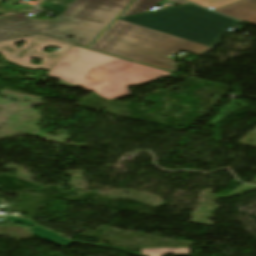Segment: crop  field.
<instances>
[{
  "label": "crop field",
  "instance_id": "obj_7",
  "mask_svg": "<svg viewBox=\"0 0 256 256\" xmlns=\"http://www.w3.org/2000/svg\"><path fill=\"white\" fill-rule=\"evenodd\" d=\"M159 1L160 0H136L121 14L120 17L144 13L154 7Z\"/></svg>",
  "mask_w": 256,
  "mask_h": 256
},
{
  "label": "crop field",
  "instance_id": "obj_4",
  "mask_svg": "<svg viewBox=\"0 0 256 256\" xmlns=\"http://www.w3.org/2000/svg\"><path fill=\"white\" fill-rule=\"evenodd\" d=\"M120 19L212 47L228 28L239 24L192 4Z\"/></svg>",
  "mask_w": 256,
  "mask_h": 256
},
{
  "label": "crop field",
  "instance_id": "obj_13",
  "mask_svg": "<svg viewBox=\"0 0 256 256\" xmlns=\"http://www.w3.org/2000/svg\"><path fill=\"white\" fill-rule=\"evenodd\" d=\"M4 1V0H0V3ZM6 1H10V2H14V3H17L19 0H6Z\"/></svg>",
  "mask_w": 256,
  "mask_h": 256
},
{
  "label": "crop field",
  "instance_id": "obj_12",
  "mask_svg": "<svg viewBox=\"0 0 256 256\" xmlns=\"http://www.w3.org/2000/svg\"><path fill=\"white\" fill-rule=\"evenodd\" d=\"M6 219L11 220V221H16V222H21V223H26V224L32 225V223L30 221L18 219V218H15V217H7Z\"/></svg>",
  "mask_w": 256,
  "mask_h": 256
},
{
  "label": "crop field",
  "instance_id": "obj_5",
  "mask_svg": "<svg viewBox=\"0 0 256 256\" xmlns=\"http://www.w3.org/2000/svg\"><path fill=\"white\" fill-rule=\"evenodd\" d=\"M25 41L20 48L14 46V42ZM53 46L60 50L57 52L46 53L42 50L45 47ZM73 46V44L61 42L58 40L35 35L5 42H0V53L4 58L16 65L24 68L36 70L38 68L50 70L54 64ZM43 59L42 63L37 66L31 64L34 58Z\"/></svg>",
  "mask_w": 256,
  "mask_h": 256
},
{
  "label": "crop field",
  "instance_id": "obj_1",
  "mask_svg": "<svg viewBox=\"0 0 256 256\" xmlns=\"http://www.w3.org/2000/svg\"><path fill=\"white\" fill-rule=\"evenodd\" d=\"M167 75L170 73L75 46L48 72V77L60 79L62 86L91 89L108 100L129 95L126 87Z\"/></svg>",
  "mask_w": 256,
  "mask_h": 256
},
{
  "label": "crop field",
  "instance_id": "obj_9",
  "mask_svg": "<svg viewBox=\"0 0 256 256\" xmlns=\"http://www.w3.org/2000/svg\"><path fill=\"white\" fill-rule=\"evenodd\" d=\"M142 256H161L162 254L184 255L189 254V248H158L142 249Z\"/></svg>",
  "mask_w": 256,
  "mask_h": 256
},
{
  "label": "crop field",
  "instance_id": "obj_3",
  "mask_svg": "<svg viewBox=\"0 0 256 256\" xmlns=\"http://www.w3.org/2000/svg\"><path fill=\"white\" fill-rule=\"evenodd\" d=\"M211 48L119 19L89 47L174 72L175 63L167 54L183 50L200 56Z\"/></svg>",
  "mask_w": 256,
  "mask_h": 256
},
{
  "label": "crop field",
  "instance_id": "obj_6",
  "mask_svg": "<svg viewBox=\"0 0 256 256\" xmlns=\"http://www.w3.org/2000/svg\"><path fill=\"white\" fill-rule=\"evenodd\" d=\"M215 11L256 24V0H243Z\"/></svg>",
  "mask_w": 256,
  "mask_h": 256
},
{
  "label": "crop field",
  "instance_id": "obj_10",
  "mask_svg": "<svg viewBox=\"0 0 256 256\" xmlns=\"http://www.w3.org/2000/svg\"><path fill=\"white\" fill-rule=\"evenodd\" d=\"M49 5L42 4L40 8L60 15L74 0H46Z\"/></svg>",
  "mask_w": 256,
  "mask_h": 256
},
{
  "label": "crop field",
  "instance_id": "obj_2",
  "mask_svg": "<svg viewBox=\"0 0 256 256\" xmlns=\"http://www.w3.org/2000/svg\"><path fill=\"white\" fill-rule=\"evenodd\" d=\"M132 0H75L53 20H31L23 14L0 18V41L43 35L87 47ZM73 39H67L68 36Z\"/></svg>",
  "mask_w": 256,
  "mask_h": 256
},
{
  "label": "crop field",
  "instance_id": "obj_11",
  "mask_svg": "<svg viewBox=\"0 0 256 256\" xmlns=\"http://www.w3.org/2000/svg\"><path fill=\"white\" fill-rule=\"evenodd\" d=\"M189 1H192V2H194L198 5H201L205 8L211 6L215 9H217L219 7H222V6H225L228 4H232V3L238 2L240 0H189Z\"/></svg>",
  "mask_w": 256,
  "mask_h": 256
},
{
  "label": "crop field",
  "instance_id": "obj_8",
  "mask_svg": "<svg viewBox=\"0 0 256 256\" xmlns=\"http://www.w3.org/2000/svg\"><path fill=\"white\" fill-rule=\"evenodd\" d=\"M31 231L37 236L63 247H66L71 243V240L63 239L61 236L39 227H34Z\"/></svg>",
  "mask_w": 256,
  "mask_h": 256
}]
</instances>
